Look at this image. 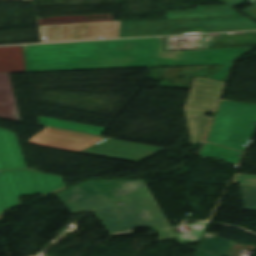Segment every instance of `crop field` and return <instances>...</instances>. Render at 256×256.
I'll list each match as a JSON object with an SVG mask.
<instances>
[{
	"label": "crop field",
	"instance_id": "obj_7",
	"mask_svg": "<svg viewBox=\"0 0 256 256\" xmlns=\"http://www.w3.org/2000/svg\"><path fill=\"white\" fill-rule=\"evenodd\" d=\"M0 117L21 121L9 74H0Z\"/></svg>",
	"mask_w": 256,
	"mask_h": 256
},
{
	"label": "crop field",
	"instance_id": "obj_4",
	"mask_svg": "<svg viewBox=\"0 0 256 256\" xmlns=\"http://www.w3.org/2000/svg\"><path fill=\"white\" fill-rule=\"evenodd\" d=\"M93 213L103 222L111 236L130 234L134 228L152 226L158 230L160 241L175 237L155 200Z\"/></svg>",
	"mask_w": 256,
	"mask_h": 256
},
{
	"label": "crop field",
	"instance_id": "obj_1",
	"mask_svg": "<svg viewBox=\"0 0 256 256\" xmlns=\"http://www.w3.org/2000/svg\"><path fill=\"white\" fill-rule=\"evenodd\" d=\"M26 72L186 64H224L211 76L224 82L233 58L251 48L165 52L162 38L23 46Z\"/></svg>",
	"mask_w": 256,
	"mask_h": 256
},
{
	"label": "crop field",
	"instance_id": "obj_9",
	"mask_svg": "<svg viewBox=\"0 0 256 256\" xmlns=\"http://www.w3.org/2000/svg\"><path fill=\"white\" fill-rule=\"evenodd\" d=\"M246 209L256 210V187L240 185Z\"/></svg>",
	"mask_w": 256,
	"mask_h": 256
},
{
	"label": "crop field",
	"instance_id": "obj_6",
	"mask_svg": "<svg viewBox=\"0 0 256 256\" xmlns=\"http://www.w3.org/2000/svg\"><path fill=\"white\" fill-rule=\"evenodd\" d=\"M42 42L119 38L120 21L38 26Z\"/></svg>",
	"mask_w": 256,
	"mask_h": 256
},
{
	"label": "crop field",
	"instance_id": "obj_5",
	"mask_svg": "<svg viewBox=\"0 0 256 256\" xmlns=\"http://www.w3.org/2000/svg\"><path fill=\"white\" fill-rule=\"evenodd\" d=\"M223 84L210 79H194L184 106L193 141H203L211 119L205 115L207 111H214Z\"/></svg>",
	"mask_w": 256,
	"mask_h": 256
},
{
	"label": "crop field",
	"instance_id": "obj_12",
	"mask_svg": "<svg viewBox=\"0 0 256 256\" xmlns=\"http://www.w3.org/2000/svg\"><path fill=\"white\" fill-rule=\"evenodd\" d=\"M205 237H213V235L205 234L203 238Z\"/></svg>",
	"mask_w": 256,
	"mask_h": 256
},
{
	"label": "crop field",
	"instance_id": "obj_11",
	"mask_svg": "<svg viewBox=\"0 0 256 256\" xmlns=\"http://www.w3.org/2000/svg\"><path fill=\"white\" fill-rule=\"evenodd\" d=\"M219 1L233 7L235 5H238V4L242 3L245 0H219Z\"/></svg>",
	"mask_w": 256,
	"mask_h": 256
},
{
	"label": "crop field",
	"instance_id": "obj_8",
	"mask_svg": "<svg viewBox=\"0 0 256 256\" xmlns=\"http://www.w3.org/2000/svg\"><path fill=\"white\" fill-rule=\"evenodd\" d=\"M234 243L235 242L220 237L205 238L202 240L194 256H217L208 251L220 254L219 256H223Z\"/></svg>",
	"mask_w": 256,
	"mask_h": 256
},
{
	"label": "crop field",
	"instance_id": "obj_2",
	"mask_svg": "<svg viewBox=\"0 0 256 256\" xmlns=\"http://www.w3.org/2000/svg\"><path fill=\"white\" fill-rule=\"evenodd\" d=\"M62 178L26 167L14 133L0 129V215L19 205V197L64 188Z\"/></svg>",
	"mask_w": 256,
	"mask_h": 256
},
{
	"label": "crop field",
	"instance_id": "obj_10",
	"mask_svg": "<svg viewBox=\"0 0 256 256\" xmlns=\"http://www.w3.org/2000/svg\"><path fill=\"white\" fill-rule=\"evenodd\" d=\"M241 12L244 13L245 15L251 17L252 19L256 20V5L248 8V9H245Z\"/></svg>",
	"mask_w": 256,
	"mask_h": 256
},
{
	"label": "crop field",
	"instance_id": "obj_3",
	"mask_svg": "<svg viewBox=\"0 0 256 256\" xmlns=\"http://www.w3.org/2000/svg\"><path fill=\"white\" fill-rule=\"evenodd\" d=\"M55 195L73 214L153 199L143 180H91Z\"/></svg>",
	"mask_w": 256,
	"mask_h": 256
}]
</instances>
